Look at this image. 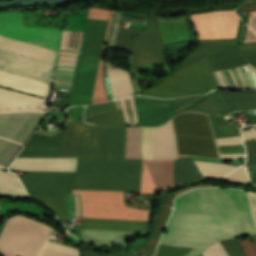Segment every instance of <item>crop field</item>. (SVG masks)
<instances>
[{"mask_svg":"<svg viewBox=\"0 0 256 256\" xmlns=\"http://www.w3.org/2000/svg\"><path fill=\"white\" fill-rule=\"evenodd\" d=\"M40 256H71V255L63 254V253H60V252H56V251L44 248V250H43V252L41 253Z\"/></svg>","mask_w":256,"mask_h":256,"instance_id":"78b8030e","label":"crop field"},{"mask_svg":"<svg viewBox=\"0 0 256 256\" xmlns=\"http://www.w3.org/2000/svg\"><path fill=\"white\" fill-rule=\"evenodd\" d=\"M49 108L0 111V169H6Z\"/></svg>","mask_w":256,"mask_h":256,"instance_id":"e52e79f7","label":"crop field"},{"mask_svg":"<svg viewBox=\"0 0 256 256\" xmlns=\"http://www.w3.org/2000/svg\"><path fill=\"white\" fill-rule=\"evenodd\" d=\"M114 103L116 110H121L123 112L126 124H138L132 97L117 99L114 101Z\"/></svg>","mask_w":256,"mask_h":256,"instance_id":"bd1437ed","label":"crop field"},{"mask_svg":"<svg viewBox=\"0 0 256 256\" xmlns=\"http://www.w3.org/2000/svg\"><path fill=\"white\" fill-rule=\"evenodd\" d=\"M73 178L74 173L27 172L20 179L30 197L67 219L65 194H71Z\"/></svg>","mask_w":256,"mask_h":256,"instance_id":"d8731c3e","label":"crop field"},{"mask_svg":"<svg viewBox=\"0 0 256 256\" xmlns=\"http://www.w3.org/2000/svg\"><path fill=\"white\" fill-rule=\"evenodd\" d=\"M209 118L215 138L233 136L231 125L229 123H220L219 118L211 116H209Z\"/></svg>","mask_w":256,"mask_h":256,"instance_id":"e1f06a70","label":"crop field"},{"mask_svg":"<svg viewBox=\"0 0 256 256\" xmlns=\"http://www.w3.org/2000/svg\"><path fill=\"white\" fill-rule=\"evenodd\" d=\"M203 256H227L221 244L216 242L211 247L202 252Z\"/></svg>","mask_w":256,"mask_h":256,"instance_id":"425ffa30","label":"crop field"},{"mask_svg":"<svg viewBox=\"0 0 256 256\" xmlns=\"http://www.w3.org/2000/svg\"><path fill=\"white\" fill-rule=\"evenodd\" d=\"M251 184L256 185V165L244 166Z\"/></svg>","mask_w":256,"mask_h":256,"instance_id":"447ae74e","label":"crop field"},{"mask_svg":"<svg viewBox=\"0 0 256 256\" xmlns=\"http://www.w3.org/2000/svg\"><path fill=\"white\" fill-rule=\"evenodd\" d=\"M158 240L159 237L153 236L135 251L144 256H152Z\"/></svg>","mask_w":256,"mask_h":256,"instance_id":"03da06ac","label":"crop field"},{"mask_svg":"<svg viewBox=\"0 0 256 256\" xmlns=\"http://www.w3.org/2000/svg\"><path fill=\"white\" fill-rule=\"evenodd\" d=\"M81 228L149 232V222L82 219Z\"/></svg>","mask_w":256,"mask_h":256,"instance_id":"214f88e0","label":"crop field"},{"mask_svg":"<svg viewBox=\"0 0 256 256\" xmlns=\"http://www.w3.org/2000/svg\"><path fill=\"white\" fill-rule=\"evenodd\" d=\"M126 128L109 127L103 159H80L73 189L139 191L141 160L124 159ZM73 190L82 218L148 221V210L124 206L123 192Z\"/></svg>","mask_w":256,"mask_h":256,"instance_id":"ac0d7876","label":"crop field"},{"mask_svg":"<svg viewBox=\"0 0 256 256\" xmlns=\"http://www.w3.org/2000/svg\"><path fill=\"white\" fill-rule=\"evenodd\" d=\"M120 20L146 24L145 16L122 12Z\"/></svg>","mask_w":256,"mask_h":256,"instance_id":"89e229c0","label":"crop field"},{"mask_svg":"<svg viewBox=\"0 0 256 256\" xmlns=\"http://www.w3.org/2000/svg\"><path fill=\"white\" fill-rule=\"evenodd\" d=\"M148 35L136 40L132 48L136 69L143 64H168L156 18L146 16Z\"/></svg>","mask_w":256,"mask_h":256,"instance_id":"22f410ed","label":"crop field"},{"mask_svg":"<svg viewBox=\"0 0 256 256\" xmlns=\"http://www.w3.org/2000/svg\"><path fill=\"white\" fill-rule=\"evenodd\" d=\"M121 13L115 12L114 14V19H113V23H112V27H111V31L109 34V38H108V42L107 45L112 48V44H113V38H114V34L117 28V23H118V19Z\"/></svg>","mask_w":256,"mask_h":256,"instance_id":"1f2cbd36","label":"crop field"},{"mask_svg":"<svg viewBox=\"0 0 256 256\" xmlns=\"http://www.w3.org/2000/svg\"><path fill=\"white\" fill-rule=\"evenodd\" d=\"M114 111H115V108H114L113 101L107 104L91 105V106H88L86 119L99 114L110 113Z\"/></svg>","mask_w":256,"mask_h":256,"instance_id":"c035e120","label":"crop field"},{"mask_svg":"<svg viewBox=\"0 0 256 256\" xmlns=\"http://www.w3.org/2000/svg\"><path fill=\"white\" fill-rule=\"evenodd\" d=\"M247 25L256 31V17L249 15Z\"/></svg>","mask_w":256,"mask_h":256,"instance_id":"ae633e8c","label":"crop field"},{"mask_svg":"<svg viewBox=\"0 0 256 256\" xmlns=\"http://www.w3.org/2000/svg\"><path fill=\"white\" fill-rule=\"evenodd\" d=\"M209 61L213 71L246 65L237 53L236 46L210 55Z\"/></svg>","mask_w":256,"mask_h":256,"instance_id":"a9b5d70f","label":"crop field"},{"mask_svg":"<svg viewBox=\"0 0 256 256\" xmlns=\"http://www.w3.org/2000/svg\"><path fill=\"white\" fill-rule=\"evenodd\" d=\"M192 249L181 247H168L159 245L155 256H184L188 254Z\"/></svg>","mask_w":256,"mask_h":256,"instance_id":"b80d0937","label":"crop field"},{"mask_svg":"<svg viewBox=\"0 0 256 256\" xmlns=\"http://www.w3.org/2000/svg\"><path fill=\"white\" fill-rule=\"evenodd\" d=\"M107 129L68 119L57 157L102 158Z\"/></svg>","mask_w":256,"mask_h":256,"instance_id":"3316defc","label":"crop field"},{"mask_svg":"<svg viewBox=\"0 0 256 256\" xmlns=\"http://www.w3.org/2000/svg\"><path fill=\"white\" fill-rule=\"evenodd\" d=\"M139 139L140 128H127L125 158L141 159Z\"/></svg>","mask_w":256,"mask_h":256,"instance_id":"750c4746","label":"crop field"},{"mask_svg":"<svg viewBox=\"0 0 256 256\" xmlns=\"http://www.w3.org/2000/svg\"><path fill=\"white\" fill-rule=\"evenodd\" d=\"M211 96L214 98L215 102L219 106V109L221 111V115L223 116L226 113L227 110L225 108V105L222 103L218 92L216 91V92L211 93Z\"/></svg>","mask_w":256,"mask_h":256,"instance_id":"db79e9e6","label":"crop field"},{"mask_svg":"<svg viewBox=\"0 0 256 256\" xmlns=\"http://www.w3.org/2000/svg\"><path fill=\"white\" fill-rule=\"evenodd\" d=\"M170 212V208L159 207L158 213L155 215L153 220V235L161 236Z\"/></svg>","mask_w":256,"mask_h":256,"instance_id":"d32e631a","label":"crop field"},{"mask_svg":"<svg viewBox=\"0 0 256 256\" xmlns=\"http://www.w3.org/2000/svg\"><path fill=\"white\" fill-rule=\"evenodd\" d=\"M67 200V212L68 217H76V206H77V216L81 217L80 212V200H79V214H78V196H76V206H75V195H66Z\"/></svg>","mask_w":256,"mask_h":256,"instance_id":"b54c1fbb","label":"crop field"},{"mask_svg":"<svg viewBox=\"0 0 256 256\" xmlns=\"http://www.w3.org/2000/svg\"><path fill=\"white\" fill-rule=\"evenodd\" d=\"M83 256H134L130 253H128L125 249L117 252V253H112V254H98V253H92V252H87V251H83Z\"/></svg>","mask_w":256,"mask_h":256,"instance_id":"dbb93151","label":"crop field"},{"mask_svg":"<svg viewBox=\"0 0 256 256\" xmlns=\"http://www.w3.org/2000/svg\"><path fill=\"white\" fill-rule=\"evenodd\" d=\"M190 17L199 40L235 37L239 18L234 12H210Z\"/></svg>","mask_w":256,"mask_h":256,"instance_id":"d1516ede","label":"crop field"},{"mask_svg":"<svg viewBox=\"0 0 256 256\" xmlns=\"http://www.w3.org/2000/svg\"><path fill=\"white\" fill-rule=\"evenodd\" d=\"M22 16L0 14V86L45 98L61 30L21 27Z\"/></svg>","mask_w":256,"mask_h":256,"instance_id":"34b2d1b8","label":"crop field"},{"mask_svg":"<svg viewBox=\"0 0 256 256\" xmlns=\"http://www.w3.org/2000/svg\"><path fill=\"white\" fill-rule=\"evenodd\" d=\"M250 7L243 6L240 9H238L241 12H248V11H256V3L249 4Z\"/></svg>","mask_w":256,"mask_h":256,"instance_id":"e1d0b9f6","label":"crop field"},{"mask_svg":"<svg viewBox=\"0 0 256 256\" xmlns=\"http://www.w3.org/2000/svg\"><path fill=\"white\" fill-rule=\"evenodd\" d=\"M161 245L195 248L196 256L218 240L256 234L246 193L234 189H195L175 199Z\"/></svg>","mask_w":256,"mask_h":256,"instance_id":"8a807250","label":"crop field"},{"mask_svg":"<svg viewBox=\"0 0 256 256\" xmlns=\"http://www.w3.org/2000/svg\"><path fill=\"white\" fill-rule=\"evenodd\" d=\"M139 124H158L175 113L172 100L133 96Z\"/></svg>","mask_w":256,"mask_h":256,"instance_id":"5142ce71","label":"crop field"},{"mask_svg":"<svg viewBox=\"0 0 256 256\" xmlns=\"http://www.w3.org/2000/svg\"><path fill=\"white\" fill-rule=\"evenodd\" d=\"M112 91L123 93L127 91V87L134 93L130 82L129 73L122 69H109Z\"/></svg>","mask_w":256,"mask_h":256,"instance_id":"d3111659","label":"crop field"},{"mask_svg":"<svg viewBox=\"0 0 256 256\" xmlns=\"http://www.w3.org/2000/svg\"><path fill=\"white\" fill-rule=\"evenodd\" d=\"M113 13L114 11L111 10H103L96 8L89 9L87 18L110 20V23L109 21L104 20L87 19L86 21L69 106L90 104L91 102L99 62L104 45V40L107 32V27L109 23L105 45L112 21L111 15H113ZM107 101L108 100L102 77L101 58V63L98 71V76L91 104Z\"/></svg>","mask_w":256,"mask_h":256,"instance_id":"412701ff","label":"crop field"},{"mask_svg":"<svg viewBox=\"0 0 256 256\" xmlns=\"http://www.w3.org/2000/svg\"><path fill=\"white\" fill-rule=\"evenodd\" d=\"M203 96L204 95L173 100L176 112L195 103L197 100H199Z\"/></svg>","mask_w":256,"mask_h":256,"instance_id":"d23c7cc5","label":"crop field"},{"mask_svg":"<svg viewBox=\"0 0 256 256\" xmlns=\"http://www.w3.org/2000/svg\"><path fill=\"white\" fill-rule=\"evenodd\" d=\"M176 141L177 159L188 156L219 158L207 115L186 112L171 119Z\"/></svg>","mask_w":256,"mask_h":256,"instance_id":"dd49c442","label":"crop field"},{"mask_svg":"<svg viewBox=\"0 0 256 256\" xmlns=\"http://www.w3.org/2000/svg\"><path fill=\"white\" fill-rule=\"evenodd\" d=\"M217 144L242 143L241 136L216 139ZM221 154L245 153L243 144L218 145ZM245 157V154L220 155V158Z\"/></svg>","mask_w":256,"mask_h":256,"instance_id":"ae1a2a85","label":"crop field"},{"mask_svg":"<svg viewBox=\"0 0 256 256\" xmlns=\"http://www.w3.org/2000/svg\"><path fill=\"white\" fill-rule=\"evenodd\" d=\"M51 230L20 216L8 219L0 233V253L38 256Z\"/></svg>","mask_w":256,"mask_h":256,"instance_id":"5a996713","label":"crop field"},{"mask_svg":"<svg viewBox=\"0 0 256 256\" xmlns=\"http://www.w3.org/2000/svg\"><path fill=\"white\" fill-rule=\"evenodd\" d=\"M247 163L245 165L256 164V142L246 143Z\"/></svg>","mask_w":256,"mask_h":256,"instance_id":"73cf0c24","label":"crop field"},{"mask_svg":"<svg viewBox=\"0 0 256 256\" xmlns=\"http://www.w3.org/2000/svg\"><path fill=\"white\" fill-rule=\"evenodd\" d=\"M58 148L24 147L18 156L56 157Z\"/></svg>","mask_w":256,"mask_h":256,"instance_id":"028f5c9d","label":"crop field"},{"mask_svg":"<svg viewBox=\"0 0 256 256\" xmlns=\"http://www.w3.org/2000/svg\"><path fill=\"white\" fill-rule=\"evenodd\" d=\"M250 237H251L252 242H253V244H254V247H255V249H256V235H251Z\"/></svg>","mask_w":256,"mask_h":256,"instance_id":"c39391a2","label":"crop field"},{"mask_svg":"<svg viewBox=\"0 0 256 256\" xmlns=\"http://www.w3.org/2000/svg\"><path fill=\"white\" fill-rule=\"evenodd\" d=\"M188 110L199 111L214 116H221L218 107L216 106L210 95H208L203 101L199 102L195 106L188 108L184 111Z\"/></svg>","mask_w":256,"mask_h":256,"instance_id":"120bbe31","label":"crop field"},{"mask_svg":"<svg viewBox=\"0 0 256 256\" xmlns=\"http://www.w3.org/2000/svg\"><path fill=\"white\" fill-rule=\"evenodd\" d=\"M247 196H248V200H249V204H250V208H251V212H252V216H253V220L256 228V194L247 192Z\"/></svg>","mask_w":256,"mask_h":256,"instance_id":"1d79db26","label":"crop field"},{"mask_svg":"<svg viewBox=\"0 0 256 256\" xmlns=\"http://www.w3.org/2000/svg\"><path fill=\"white\" fill-rule=\"evenodd\" d=\"M202 180L203 178L191 157L175 160V164H174L175 187L179 185L202 181Z\"/></svg>","mask_w":256,"mask_h":256,"instance_id":"dafd665d","label":"crop field"},{"mask_svg":"<svg viewBox=\"0 0 256 256\" xmlns=\"http://www.w3.org/2000/svg\"><path fill=\"white\" fill-rule=\"evenodd\" d=\"M174 160H143L140 194H152L174 187Z\"/></svg>","mask_w":256,"mask_h":256,"instance_id":"cbeb9de0","label":"crop field"},{"mask_svg":"<svg viewBox=\"0 0 256 256\" xmlns=\"http://www.w3.org/2000/svg\"><path fill=\"white\" fill-rule=\"evenodd\" d=\"M220 95L230 112L256 108V93H232L221 91ZM247 113L249 116H256V109L247 110Z\"/></svg>","mask_w":256,"mask_h":256,"instance_id":"92a150f3","label":"crop field"},{"mask_svg":"<svg viewBox=\"0 0 256 256\" xmlns=\"http://www.w3.org/2000/svg\"><path fill=\"white\" fill-rule=\"evenodd\" d=\"M45 99L0 88V109L21 106H44Z\"/></svg>","mask_w":256,"mask_h":256,"instance_id":"00972430","label":"crop field"},{"mask_svg":"<svg viewBox=\"0 0 256 256\" xmlns=\"http://www.w3.org/2000/svg\"><path fill=\"white\" fill-rule=\"evenodd\" d=\"M153 159H176L171 121L153 128Z\"/></svg>","mask_w":256,"mask_h":256,"instance_id":"4a817a6b","label":"crop field"},{"mask_svg":"<svg viewBox=\"0 0 256 256\" xmlns=\"http://www.w3.org/2000/svg\"><path fill=\"white\" fill-rule=\"evenodd\" d=\"M107 65H108V63L103 61L104 83H105V88H106V92H107V95H108V99L110 101V100H112V96H111L110 85H109V80H108Z\"/></svg>","mask_w":256,"mask_h":256,"instance_id":"9d1cf04e","label":"crop field"},{"mask_svg":"<svg viewBox=\"0 0 256 256\" xmlns=\"http://www.w3.org/2000/svg\"><path fill=\"white\" fill-rule=\"evenodd\" d=\"M87 14L70 15L67 30L83 31ZM63 31L60 51L77 54L83 32ZM59 53L58 64L75 66L77 55ZM57 65V70L74 71L75 67ZM74 72L56 71V76L72 78ZM55 78V83L71 85L72 79ZM55 84V89H70L71 86Z\"/></svg>","mask_w":256,"mask_h":256,"instance_id":"28ad6ade","label":"crop field"},{"mask_svg":"<svg viewBox=\"0 0 256 256\" xmlns=\"http://www.w3.org/2000/svg\"><path fill=\"white\" fill-rule=\"evenodd\" d=\"M246 60L256 67V43L239 45Z\"/></svg>","mask_w":256,"mask_h":256,"instance_id":"c21b1889","label":"crop field"},{"mask_svg":"<svg viewBox=\"0 0 256 256\" xmlns=\"http://www.w3.org/2000/svg\"><path fill=\"white\" fill-rule=\"evenodd\" d=\"M85 122L95 123L106 126H125L124 116L120 112L99 115Z\"/></svg>","mask_w":256,"mask_h":256,"instance_id":"1d83c4d3","label":"crop field"},{"mask_svg":"<svg viewBox=\"0 0 256 256\" xmlns=\"http://www.w3.org/2000/svg\"><path fill=\"white\" fill-rule=\"evenodd\" d=\"M141 155L142 159H152V128L143 127Z\"/></svg>","mask_w":256,"mask_h":256,"instance_id":"5866460e","label":"crop field"},{"mask_svg":"<svg viewBox=\"0 0 256 256\" xmlns=\"http://www.w3.org/2000/svg\"><path fill=\"white\" fill-rule=\"evenodd\" d=\"M36 13L24 14L22 26H34Z\"/></svg>","mask_w":256,"mask_h":256,"instance_id":"0765c3eb","label":"crop field"},{"mask_svg":"<svg viewBox=\"0 0 256 256\" xmlns=\"http://www.w3.org/2000/svg\"><path fill=\"white\" fill-rule=\"evenodd\" d=\"M146 34L145 31L119 27L113 47L130 52L134 40Z\"/></svg>","mask_w":256,"mask_h":256,"instance_id":"730fd06b","label":"crop field"},{"mask_svg":"<svg viewBox=\"0 0 256 256\" xmlns=\"http://www.w3.org/2000/svg\"><path fill=\"white\" fill-rule=\"evenodd\" d=\"M172 203H173V193L166 196L161 205H168V206L172 207Z\"/></svg>","mask_w":256,"mask_h":256,"instance_id":"d14b1444","label":"crop field"},{"mask_svg":"<svg viewBox=\"0 0 256 256\" xmlns=\"http://www.w3.org/2000/svg\"><path fill=\"white\" fill-rule=\"evenodd\" d=\"M244 141L256 140V129L242 131Z\"/></svg>","mask_w":256,"mask_h":256,"instance_id":"7b73153f","label":"crop field"},{"mask_svg":"<svg viewBox=\"0 0 256 256\" xmlns=\"http://www.w3.org/2000/svg\"><path fill=\"white\" fill-rule=\"evenodd\" d=\"M200 43L158 84L141 91L155 98H176L198 95L217 89L207 56L230 47L234 39L207 40Z\"/></svg>","mask_w":256,"mask_h":256,"instance_id":"f4fd0767","label":"crop field"},{"mask_svg":"<svg viewBox=\"0 0 256 256\" xmlns=\"http://www.w3.org/2000/svg\"><path fill=\"white\" fill-rule=\"evenodd\" d=\"M147 233L81 229V240L89 243L108 245L125 243Z\"/></svg>","mask_w":256,"mask_h":256,"instance_id":"bc2a9ffb","label":"crop field"},{"mask_svg":"<svg viewBox=\"0 0 256 256\" xmlns=\"http://www.w3.org/2000/svg\"><path fill=\"white\" fill-rule=\"evenodd\" d=\"M59 140L34 133L26 146L58 147Z\"/></svg>","mask_w":256,"mask_h":256,"instance_id":"0bd39190","label":"crop field"},{"mask_svg":"<svg viewBox=\"0 0 256 256\" xmlns=\"http://www.w3.org/2000/svg\"><path fill=\"white\" fill-rule=\"evenodd\" d=\"M247 14H250V15L256 16V12H250V13H247Z\"/></svg>","mask_w":256,"mask_h":256,"instance_id":"ade564c9","label":"crop field"},{"mask_svg":"<svg viewBox=\"0 0 256 256\" xmlns=\"http://www.w3.org/2000/svg\"><path fill=\"white\" fill-rule=\"evenodd\" d=\"M77 158H16L9 170L74 172Z\"/></svg>","mask_w":256,"mask_h":256,"instance_id":"d9b57169","label":"crop field"},{"mask_svg":"<svg viewBox=\"0 0 256 256\" xmlns=\"http://www.w3.org/2000/svg\"><path fill=\"white\" fill-rule=\"evenodd\" d=\"M240 244L242 245L246 256H256L254 247L249 239L240 241Z\"/></svg>","mask_w":256,"mask_h":256,"instance_id":"0fb4a251","label":"crop field"},{"mask_svg":"<svg viewBox=\"0 0 256 256\" xmlns=\"http://www.w3.org/2000/svg\"><path fill=\"white\" fill-rule=\"evenodd\" d=\"M237 50H238L239 54L241 55L238 46H237ZM241 57L244 59V57L242 55H241ZM245 62L247 64H249L246 60H245ZM237 69H238V71L240 73V76H241V78L243 80V83H244L246 89H254V90H256V69L251 64L246 65V66H242V67H238ZM237 69L234 68L232 70H233V72L235 74V77H236V79L238 81V84H239L240 88L241 89H245ZM232 70L229 69L228 71H229V73L231 75V78H232V80L234 82V85H235L236 89L239 90L240 88H239V86L237 84V81H236V79L234 77V74H233ZM228 71L224 70V71H217V72H213V73L215 75V78H216L217 83H218L220 88L236 90L234 85H233V82H232V80L230 78V75H229Z\"/></svg>","mask_w":256,"mask_h":256,"instance_id":"733c2abd","label":"crop field"},{"mask_svg":"<svg viewBox=\"0 0 256 256\" xmlns=\"http://www.w3.org/2000/svg\"><path fill=\"white\" fill-rule=\"evenodd\" d=\"M223 180L249 184L247 177H246L244 167H241V168L235 170L234 172L230 173L229 175L224 177Z\"/></svg>","mask_w":256,"mask_h":256,"instance_id":"5d738f31","label":"crop field"},{"mask_svg":"<svg viewBox=\"0 0 256 256\" xmlns=\"http://www.w3.org/2000/svg\"><path fill=\"white\" fill-rule=\"evenodd\" d=\"M204 179L220 180L236 166L195 161Z\"/></svg>","mask_w":256,"mask_h":256,"instance_id":"eef30255","label":"crop field"},{"mask_svg":"<svg viewBox=\"0 0 256 256\" xmlns=\"http://www.w3.org/2000/svg\"><path fill=\"white\" fill-rule=\"evenodd\" d=\"M45 247L53 249V250H57V251H60V252H64V253H67V254H71V255H74V256H79V253H78L77 249L66 247V246L56 244V243H53V242L48 241Z\"/></svg>","mask_w":256,"mask_h":256,"instance_id":"25e5ab78","label":"crop field"},{"mask_svg":"<svg viewBox=\"0 0 256 256\" xmlns=\"http://www.w3.org/2000/svg\"><path fill=\"white\" fill-rule=\"evenodd\" d=\"M0 193L14 198H29L19 179L2 170H0Z\"/></svg>","mask_w":256,"mask_h":256,"instance_id":"4177f3b9","label":"crop field"},{"mask_svg":"<svg viewBox=\"0 0 256 256\" xmlns=\"http://www.w3.org/2000/svg\"><path fill=\"white\" fill-rule=\"evenodd\" d=\"M246 41H256V34L253 31H251L248 27L245 36V42Z\"/></svg>","mask_w":256,"mask_h":256,"instance_id":"0f1d7ab4","label":"crop field"}]
</instances>
